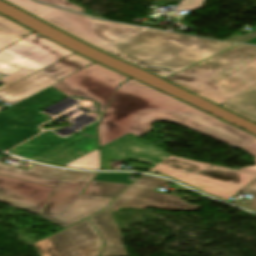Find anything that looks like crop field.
Returning a JSON list of instances; mask_svg holds the SVG:
<instances>
[{"label":"crop field","instance_id":"8a807250","mask_svg":"<svg viewBox=\"0 0 256 256\" xmlns=\"http://www.w3.org/2000/svg\"><path fill=\"white\" fill-rule=\"evenodd\" d=\"M38 19L163 79L236 44L101 22L31 0H5Z\"/></svg>","mask_w":256,"mask_h":256},{"label":"crop field","instance_id":"ac0d7876","mask_svg":"<svg viewBox=\"0 0 256 256\" xmlns=\"http://www.w3.org/2000/svg\"><path fill=\"white\" fill-rule=\"evenodd\" d=\"M114 115L138 126L139 129L133 132L137 136L150 131L152 122L166 121L211 136L236 148H241L256 138L133 78L118 87L97 126L100 147L129 133L106 122Z\"/></svg>","mask_w":256,"mask_h":256},{"label":"crop field","instance_id":"34b2d1b8","mask_svg":"<svg viewBox=\"0 0 256 256\" xmlns=\"http://www.w3.org/2000/svg\"><path fill=\"white\" fill-rule=\"evenodd\" d=\"M111 70L95 63L0 112V149L6 150L38 133L37 127L48 119L37 110L65 95L92 99L101 105L100 112H104L117 85L129 78Z\"/></svg>","mask_w":256,"mask_h":256},{"label":"crop field","instance_id":"412701ff","mask_svg":"<svg viewBox=\"0 0 256 256\" xmlns=\"http://www.w3.org/2000/svg\"><path fill=\"white\" fill-rule=\"evenodd\" d=\"M90 219L107 243L100 256H127L108 209ZM103 245L88 219L35 244L42 256H98Z\"/></svg>","mask_w":256,"mask_h":256},{"label":"crop field","instance_id":"f4fd0767","mask_svg":"<svg viewBox=\"0 0 256 256\" xmlns=\"http://www.w3.org/2000/svg\"><path fill=\"white\" fill-rule=\"evenodd\" d=\"M95 174L64 170L41 217L65 228L104 209L113 199L80 196Z\"/></svg>","mask_w":256,"mask_h":256},{"label":"crop field","instance_id":"dd49c442","mask_svg":"<svg viewBox=\"0 0 256 256\" xmlns=\"http://www.w3.org/2000/svg\"><path fill=\"white\" fill-rule=\"evenodd\" d=\"M71 53L36 33L6 47L0 51V73L10 75L0 89Z\"/></svg>","mask_w":256,"mask_h":256},{"label":"crop field","instance_id":"e52e79f7","mask_svg":"<svg viewBox=\"0 0 256 256\" xmlns=\"http://www.w3.org/2000/svg\"><path fill=\"white\" fill-rule=\"evenodd\" d=\"M97 148L98 142L93 124L87 127L85 132L66 139L47 132L11 152L32 160L62 166Z\"/></svg>","mask_w":256,"mask_h":256},{"label":"crop field","instance_id":"d8731c3e","mask_svg":"<svg viewBox=\"0 0 256 256\" xmlns=\"http://www.w3.org/2000/svg\"><path fill=\"white\" fill-rule=\"evenodd\" d=\"M256 58V47L239 45L165 80L195 94Z\"/></svg>","mask_w":256,"mask_h":256},{"label":"crop field","instance_id":"5a996713","mask_svg":"<svg viewBox=\"0 0 256 256\" xmlns=\"http://www.w3.org/2000/svg\"><path fill=\"white\" fill-rule=\"evenodd\" d=\"M92 63L94 62L74 53L0 90V100L13 105Z\"/></svg>","mask_w":256,"mask_h":256},{"label":"crop field","instance_id":"3316defc","mask_svg":"<svg viewBox=\"0 0 256 256\" xmlns=\"http://www.w3.org/2000/svg\"><path fill=\"white\" fill-rule=\"evenodd\" d=\"M169 181L161 178L144 175L134 183L118 200L109 208L117 210L120 207H137L146 206L168 209L195 211L200 206L187 204L180 196L167 195L155 192V189Z\"/></svg>","mask_w":256,"mask_h":256},{"label":"crop field","instance_id":"28ad6ade","mask_svg":"<svg viewBox=\"0 0 256 256\" xmlns=\"http://www.w3.org/2000/svg\"><path fill=\"white\" fill-rule=\"evenodd\" d=\"M254 178L256 175L213 165L185 183L226 200Z\"/></svg>","mask_w":256,"mask_h":256},{"label":"crop field","instance_id":"d1516ede","mask_svg":"<svg viewBox=\"0 0 256 256\" xmlns=\"http://www.w3.org/2000/svg\"><path fill=\"white\" fill-rule=\"evenodd\" d=\"M53 188L0 175V202L41 215Z\"/></svg>","mask_w":256,"mask_h":256},{"label":"crop field","instance_id":"22f410ed","mask_svg":"<svg viewBox=\"0 0 256 256\" xmlns=\"http://www.w3.org/2000/svg\"><path fill=\"white\" fill-rule=\"evenodd\" d=\"M103 168L110 170L109 160L132 159L157 165L172 156L157 147L128 134L101 148Z\"/></svg>","mask_w":256,"mask_h":256},{"label":"crop field","instance_id":"cbeb9de0","mask_svg":"<svg viewBox=\"0 0 256 256\" xmlns=\"http://www.w3.org/2000/svg\"><path fill=\"white\" fill-rule=\"evenodd\" d=\"M256 82V59L198 95L216 103L236 95Z\"/></svg>","mask_w":256,"mask_h":256},{"label":"crop field","instance_id":"5142ce71","mask_svg":"<svg viewBox=\"0 0 256 256\" xmlns=\"http://www.w3.org/2000/svg\"><path fill=\"white\" fill-rule=\"evenodd\" d=\"M210 166L209 164L172 156L153 168L151 172L185 182Z\"/></svg>","mask_w":256,"mask_h":256},{"label":"crop field","instance_id":"d9b57169","mask_svg":"<svg viewBox=\"0 0 256 256\" xmlns=\"http://www.w3.org/2000/svg\"><path fill=\"white\" fill-rule=\"evenodd\" d=\"M62 170L34 164L28 171L0 164V174L55 187Z\"/></svg>","mask_w":256,"mask_h":256},{"label":"crop field","instance_id":"733c2abd","mask_svg":"<svg viewBox=\"0 0 256 256\" xmlns=\"http://www.w3.org/2000/svg\"><path fill=\"white\" fill-rule=\"evenodd\" d=\"M220 106L256 122V83Z\"/></svg>","mask_w":256,"mask_h":256},{"label":"crop field","instance_id":"4a817a6b","mask_svg":"<svg viewBox=\"0 0 256 256\" xmlns=\"http://www.w3.org/2000/svg\"><path fill=\"white\" fill-rule=\"evenodd\" d=\"M31 33L30 29L0 15V50Z\"/></svg>","mask_w":256,"mask_h":256},{"label":"crop field","instance_id":"bc2a9ffb","mask_svg":"<svg viewBox=\"0 0 256 256\" xmlns=\"http://www.w3.org/2000/svg\"><path fill=\"white\" fill-rule=\"evenodd\" d=\"M129 185L92 181L82 195L115 198ZM122 193V192H121Z\"/></svg>","mask_w":256,"mask_h":256},{"label":"crop field","instance_id":"214f88e0","mask_svg":"<svg viewBox=\"0 0 256 256\" xmlns=\"http://www.w3.org/2000/svg\"><path fill=\"white\" fill-rule=\"evenodd\" d=\"M64 167L77 168V169H100L99 151L97 149L85 156H82L64 165Z\"/></svg>","mask_w":256,"mask_h":256},{"label":"crop field","instance_id":"92a150f3","mask_svg":"<svg viewBox=\"0 0 256 256\" xmlns=\"http://www.w3.org/2000/svg\"><path fill=\"white\" fill-rule=\"evenodd\" d=\"M130 173H107L100 174L95 180L97 181H107V182H116V183H126L131 184L132 180H127Z\"/></svg>","mask_w":256,"mask_h":256},{"label":"crop field","instance_id":"dafd665d","mask_svg":"<svg viewBox=\"0 0 256 256\" xmlns=\"http://www.w3.org/2000/svg\"><path fill=\"white\" fill-rule=\"evenodd\" d=\"M242 192L255 195L248 206L241 204V201H235L234 204L256 211V180L245 187Z\"/></svg>","mask_w":256,"mask_h":256},{"label":"crop field","instance_id":"00972430","mask_svg":"<svg viewBox=\"0 0 256 256\" xmlns=\"http://www.w3.org/2000/svg\"><path fill=\"white\" fill-rule=\"evenodd\" d=\"M205 0H184L180 6L177 8L178 12L182 11V10H195V9H199L200 7L203 6Z\"/></svg>","mask_w":256,"mask_h":256},{"label":"crop field","instance_id":"a9b5d70f","mask_svg":"<svg viewBox=\"0 0 256 256\" xmlns=\"http://www.w3.org/2000/svg\"><path fill=\"white\" fill-rule=\"evenodd\" d=\"M241 149L249 152L250 154H252L253 156L256 157V139L253 140L252 142L248 143ZM255 162H256V159H255ZM241 171L256 174V166L246 167V168L241 169Z\"/></svg>","mask_w":256,"mask_h":256},{"label":"crop field","instance_id":"4177f3b9","mask_svg":"<svg viewBox=\"0 0 256 256\" xmlns=\"http://www.w3.org/2000/svg\"><path fill=\"white\" fill-rule=\"evenodd\" d=\"M41 1L49 3V4H53V5H59V6L65 7V8L73 9V10L84 13V9H82L78 6H75L66 0H41Z\"/></svg>","mask_w":256,"mask_h":256},{"label":"crop field","instance_id":"730fd06b","mask_svg":"<svg viewBox=\"0 0 256 256\" xmlns=\"http://www.w3.org/2000/svg\"><path fill=\"white\" fill-rule=\"evenodd\" d=\"M107 121H109V122H111V123H113V124H115V125H117V126H119L121 128H124V129H126V130H128L130 132L135 130V129H137V127H135V126H133V125H131V124H129V123H127V122H125V121L115 117V116L112 117L111 119L107 120Z\"/></svg>","mask_w":256,"mask_h":256},{"label":"crop field","instance_id":"eef30255","mask_svg":"<svg viewBox=\"0 0 256 256\" xmlns=\"http://www.w3.org/2000/svg\"><path fill=\"white\" fill-rule=\"evenodd\" d=\"M254 37H256V30H254V31H252L250 33H247V34H245L243 36L235 35V36L229 38L228 40L235 41V42H245V41H247L249 39H252Z\"/></svg>","mask_w":256,"mask_h":256},{"label":"crop field","instance_id":"ae1a2a85","mask_svg":"<svg viewBox=\"0 0 256 256\" xmlns=\"http://www.w3.org/2000/svg\"><path fill=\"white\" fill-rule=\"evenodd\" d=\"M248 43H255L256 44V38L252 39V40H249L247 41Z\"/></svg>","mask_w":256,"mask_h":256}]
</instances>
